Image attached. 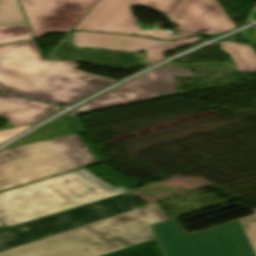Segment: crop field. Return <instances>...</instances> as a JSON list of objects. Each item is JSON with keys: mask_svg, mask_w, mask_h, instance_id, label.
<instances>
[{"mask_svg": "<svg viewBox=\"0 0 256 256\" xmlns=\"http://www.w3.org/2000/svg\"><path fill=\"white\" fill-rule=\"evenodd\" d=\"M31 126L32 125L0 132V143H3L13 138L14 136L18 135L19 133H21L22 131L26 130Z\"/></svg>", "mask_w": 256, "mask_h": 256, "instance_id": "crop-field-18", "label": "crop field"}, {"mask_svg": "<svg viewBox=\"0 0 256 256\" xmlns=\"http://www.w3.org/2000/svg\"><path fill=\"white\" fill-rule=\"evenodd\" d=\"M66 180H68L69 182H65ZM66 180H62L42 187L63 201L89 194L95 191H99L97 188L87 183L78 176Z\"/></svg>", "mask_w": 256, "mask_h": 256, "instance_id": "crop-field-14", "label": "crop field"}, {"mask_svg": "<svg viewBox=\"0 0 256 256\" xmlns=\"http://www.w3.org/2000/svg\"><path fill=\"white\" fill-rule=\"evenodd\" d=\"M32 38L26 24L0 26V44Z\"/></svg>", "mask_w": 256, "mask_h": 256, "instance_id": "crop-field-17", "label": "crop field"}, {"mask_svg": "<svg viewBox=\"0 0 256 256\" xmlns=\"http://www.w3.org/2000/svg\"><path fill=\"white\" fill-rule=\"evenodd\" d=\"M97 163L78 134L0 152V190Z\"/></svg>", "mask_w": 256, "mask_h": 256, "instance_id": "crop-field-4", "label": "crop field"}, {"mask_svg": "<svg viewBox=\"0 0 256 256\" xmlns=\"http://www.w3.org/2000/svg\"><path fill=\"white\" fill-rule=\"evenodd\" d=\"M76 175L101 191L63 202L40 187ZM127 191L124 186L114 188L82 169L0 193V222L11 226Z\"/></svg>", "mask_w": 256, "mask_h": 256, "instance_id": "crop-field-6", "label": "crop field"}, {"mask_svg": "<svg viewBox=\"0 0 256 256\" xmlns=\"http://www.w3.org/2000/svg\"><path fill=\"white\" fill-rule=\"evenodd\" d=\"M132 5L155 9L192 35L218 34L235 28L216 0H100L73 29L172 38L162 29L141 31L140 26H134L137 21L130 9Z\"/></svg>", "mask_w": 256, "mask_h": 256, "instance_id": "crop-field-3", "label": "crop field"}, {"mask_svg": "<svg viewBox=\"0 0 256 256\" xmlns=\"http://www.w3.org/2000/svg\"><path fill=\"white\" fill-rule=\"evenodd\" d=\"M73 36L75 46L126 52L146 51L148 66L163 60L165 51L199 41L191 37L174 42H162L138 36L88 32H73Z\"/></svg>", "mask_w": 256, "mask_h": 256, "instance_id": "crop-field-10", "label": "crop field"}, {"mask_svg": "<svg viewBox=\"0 0 256 256\" xmlns=\"http://www.w3.org/2000/svg\"><path fill=\"white\" fill-rule=\"evenodd\" d=\"M104 256H164V254L155 239Z\"/></svg>", "mask_w": 256, "mask_h": 256, "instance_id": "crop-field-15", "label": "crop field"}, {"mask_svg": "<svg viewBox=\"0 0 256 256\" xmlns=\"http://www.w3.org/2000/svg\"><path fill=\"white\" fill-rule=\"evenodd\" d=\"M75 63L42 61L34 41L0 47V88L33 99L71 104L116 81L75 70Z\"/></svg>", "mask_w": 256, "mask_h": 256, "instance_id": "crop-field-1", "label": "crop field"}, {"mask_svg": "<svg viewBox=\"0 0 256 256\" xmlns=\"http://www.w3.org/2000/svg\"><path fill=\"white\" fill-rule=\"evenodd\" d=\"M59 109V107L0 94V117L8 120L0 131L38 123Z\"/></svg>", "mask_w": 256, "mask_h": 256, "instance_id": "crop-field-11", "label": "crop field"}, {"mask_svg": "<svg viewBox=\"0 0 256 256\" xmlns=\"http://www.w3.org/2000/svg\"><path fill=\"white\" fill-rule=\"evenodd\" d=\"M218 44L223 52L231 56L237 72L253 73L256 71V53L252 47L228 41Z\"/></svg>", "mask_w": 256, "mask_h": 256, "instance_id": "crop-field-13", "label": "crop field"}, {"mask_svg": "<svg viewBox=\"0 0 256 256\" xmlns=\"http://www.w3.org/2000/svg\"><path fill=\"white\" fill-rule=\"evenodd\" d=\"M227 224L186 234L175 219L152 227L165 256H256V210Z\"/></svg>", "mask_w": 256, "mask_h": 256, "instance_id": "crop-field-5", "label": "crop field"}, {"mask_svg": "<svg viewBox=\"0 0 256 256\" xmlns=\"http://www.w3.org/2000/svg\"><path fill=\"white\" fill-rule=\"evenodd\" d=\"M97 0H21L35 38L70 31Z\"/></svg>", "mask_w": 256, "mask_h": 256, "instance_id": "crop-field-9", "label": "crop field"}, {"mask_svg": "<svg viewBox=\"0 0 256 256\" xmlns=\"http://www.w3.org/2000/svg\"><path fill=\"white\" fill-rule=\"evenodd\" d=\"M187 36H190V35H185V34L178 32L177 34H175L173 36V38L171 40H176V39H180V38L187 37Z\"/></svg>", "mask_w": 256, "mask_h": 256, "instance_id": "crop-field-19", "label": "crop field"}, {"mask_svg": "<svg viewBox=\"0 0 256 256\" xmlns=\"http://www.w3.org/2000/svg\"><path fill=\"white\" fill-rule=\"evenodd\" d=\"M26 23L17 0H0V25Z\"/></svg>", "mask_w": 256, "mask_h": 256, "instance_id": "crop-field-16", "label": "crop field"}, {"mask_svg": "<svg viewBox=\"0 0 256 256\" xmlns=\"http://www.w3.org/2000/svg\"><path fill=\"white\" fill-rule=\"evenodd\" d=\"M0 226H3V225L0 223Z\"/></svg>", "mask_w": 256, "mask_h": 256, "instance_id": "crop-field-20", "label": "crop field"}, {"mask_svg": "<svg viewBox=\"0 0 256 256\" xmlns=\"http://www.w3.org/2000/svg\"><path fill=\"white\" fill-rule=\"evenodd\" d=\"M193 77L190 70L156 68L90 102L79 107L68 116L83 114L101 109L122 106L173 96L176 89L173 76Z\"/></svg>", "mask_w": 256, "mask_h": 256, "instance_id": "crop-field-8", "label": "crop field"}, {"mask_svg": "<svg viewBox=\"0 0 256 256\" xmlns=\"http://www.w3.org/2000/svg\"><path fill=\"white\" fill-rule=\"evenodd\" d=\"M81 132H84V130L79 125L76 117H67L64 115L28 134L7 148L46 141Z\"/></svg>", "mask_w": 256, "mask_h": 256, "instance_id": "crop-field-12", "label": "crop field"}, {"mask_svg": "<svg viewBox=\"0 0 256 256\" xmlns=\"http://www.w3.org/2000/svg\"><path fill=\"white\" fill-rule=\"evenodd\" d=\"M131 192L15 226L0 227V251L134 209Z\"/></svg>", "mask_w": 256, "mask_h": 256, "instance_id": "crop-field-7", "label": "crop field"}, {"mask_svg": "<svg viewBox=\"0 0 256 256\" xmlns=\"http://www.w3.org/2000/svg\"><path fill=\"white\" fill-rule=\"evenodd\" d=\"M168 220L157 202L0 252V256H101L155 239L152 224Z\"/></svg>", "mask_w": 256, "mask_h": 256, "instance_id": "crop-field-2", "label": "crop field"}]
</instances>
